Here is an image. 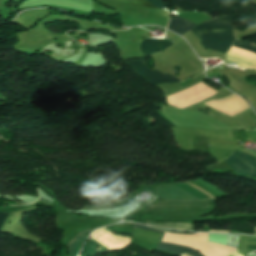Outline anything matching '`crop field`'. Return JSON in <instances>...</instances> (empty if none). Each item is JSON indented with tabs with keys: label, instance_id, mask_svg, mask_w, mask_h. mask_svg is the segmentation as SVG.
I'll return each instance as SVG.
<instances>
[{
	"label": "crop field",
	"instance_id": "crop-field-14",
	"mask_svg": "<svg viewBox=\"0 0 256 256\" xmlns=\"http://www.w3.org/2000/svg\"><path fill=\"white\" fill-rule=\"evenodd\" d=\"M134 227L141 228V229H145V230H150V231H155V232L163 233L159 241H161V239H162V237H163V235H164V232L151 229V228H149L148 226H143V225L134 224Z\"/></svg>",
	"mask_w": 256,
	"mask_h": 256
},
{
	"label": "crop field",
	"instance_id": "crop-field-6",
	"mask_svg": "<svg viewBox=\"0 0 256 256\" xmlns=\"http://www.w3.org/2000/svg\"><path fill=\"white\" fill-rule=\"evenodd\" d=\"M92 230L94 229L78 233L77 236L69 242L67 245L69 256H75L78 253L79 249L82 247V244Z\"/></svg>",
	"mask_w": 256,
	"mask_h": 256
},
{
	"label": "crop field",
	"instance_id": "crop-field-18",
	"mask_svg": "<svg viewBox=\"0 0 256 256\" xmlns=\"http://www.w3.org/2000/svg\"><path fill=\"white\" fill-rule=\"evenodd\" d=\"M255 235H256V228H255Z\"/></svg>",
	"mask_w": 256,
	"mask_h": 256
},
{
	"label": "crop field",
	"instance_id": "crop-field-17",
	"mask_svg": "<svg viewBox=\"0 0 256 256\" xmlns=\"http://www.w3.org/2000/svg\"><path fill=\"white\" fill-rule=\"evenodd\" d=\"M209 232H223V231H213V230H209ZM228 233V232H225Z\"/></svg>",
	"mask_w": 256,
	"mask_h": 256
},
{
	"label": "crop field",
	"instance_id": "crop-field-2",
	"mask_svg": "<svg viewBox=\"0 0 256 256\" xmlns=\"http://www.w3.org/2000/svg\"><path fill=\"white\" fill-rule=\"evenodd\" d=\"M155 194L162 199L177 200V201H199V199L182 191L181 189L171 185H158ZM214 205V200H207L201 202H169L159 201L148 205L145 208H194V207H211Z\"/></svg>",
	"mask_w": 256,
	"mask_h": 256
},
{
	"label": "crop field",
	"instance_id": "crop-field-8",
	"mask_svg": "<svg viewBox=\"0 0 256 256\" xmlns=\"http://www.w3.org/2000/svg\"><path fill=\"white\" fill-rule=\"evenodd\" d=\"M156 250L164 251V252L175 254V255H179V254L187 252V253L191 254L192 256H201L200 254H198L197 252H195L191 249L180 247V246H175V245H170V244H166V243H161V242L158 243Z\"/></svg>",
	"mask_w": 256,
	"mask_h": 256
},
{
	"label": "crop field",
	"instance_id": "crop-field-13",
	"mask_svg": "<svg viewBox=\"0 0 256 256\" xmlns=\"http://www.w3.org/2000/svg\"><path fill=\"white\" fill-rule=\"evenodd\" d=\"M238 238H239V236L229 235V241H228V245L227 246L237 249Z\"/></svg>",
	"mask_w": 256,
	"mask_h": 256
},
{
	"label": "crop field",
	"instance_id": "crop-field-16",
	"mask_svg": "<svg viewBox=\"0 0 256 256\" xmlns=\"http://www.w3.org/2000/svg\"><path fill=\"white\" fill-rule=\"evenodd\" d=\"M252 241H256V237H250V241L249 242H252Z\"/></svg>",
	"mask_w": 256,
	"mask_h": 256
},
{
	"label": "crop field",
	"instance_id": "crop-field-7",
	"mask_svg": "<svg viewBox=\"0 0 256 256\" xmlns=\"http://www.w3.org/2000/svg\"><path fill=\"white\" fill-rule=\"evenodd\" d=\"M195 25L196 24L190 21H187L181 17H177L175 19L170 18L168 28L182 35Z\"/></svg>",
	"mask_w": 256,
	"mask_h": 256
},
{
	"label": "crop field",
	"instance_id": "crop-field-11",
	"mask_svg": "<svg viewBox=\"0 0 256 256\" xmlns=\"http://www.w3.org/2000/svg\"><path fill=\"white\" fill-rule=\"evenodd\" d=\"M145 224L153 225V226H159V227H165V228H170V229H174V230L194 231L193 225H190V224H172V223H167V224L159 225V224H154V223H150V222H145Z\"/></svg>",
	"mask_w": 256,
	"mask_h": 256
},
{
	"label": "crop field",
	"instance_id": "crop-field-5",
	"mask_svg": "<svg viewBox=\"0 0 256 256\" xmlns=\"http://www.w3.org/2000/svg\"><path fill=\"white\" fill-rule=\"evenodd\" d=\"M171 44L173 43L168 40H144L140 45V50L142 54H151L157 50H162Z\"/></svg>",
	"mask_w": 256,
	"mask_h": 256
},
{
	"label": "crop field",
	"instance_id": "crop-field-15",
	"mask_svg": "<svg viewBox=\"0 0 256 256\" xmlns=\"http://www.w3.org/2000/svg\"><path fill=\"white\" fill-rule=\"evenodd\" d=\"M6 216H7V214L0 213V228L5 220Z\"/></svg>",
	"mask_w": 256,
	"mask_h": 256
},
{
	"label": "crop field",
	"instance_id": "crop-field-12",
	"mask_svg": "<svg viewBox=\"0 0 256 256\" xmlns=\"http://www.w3.org/2000/svg\"><path fill=\"white\" fill-rule=\"evenodd\" d=\"M233 47H237L243 50H247L250 52H253L256 54V45L251 44V43H245V42H239V41H234Z\"/></svg>",
	"mask_w": 256,
	"mask_h": 256
},
{
	"label": "crop field",
	"instance_id": "crop-field-1",
	"mask_svg": "<svg viewBox=\"0 0 256 256\" xmlns=\"http://www.w3.org/2000/svg\"><path fill=\"white\" fill-rule=\"evenodd\" d=\"M218 33H220L222 36L234 41V37L231 34V28L233 25V21L231 17H221L217 18L211 21H208ZM207 23V22H206ZM205 24L203 26L198 27V29L204 34V36L213 44L228 49L232 41L222 37L220 34H218L215 29L209 24ZM196 27L191 29L192 32L195 34V36L198 38V40L203 44L205 48L215 50L217 52H223L225 53L227 50L223 48H219L212 43H210L198 30Z\"/></svg>",
	"mask_w": 256,
	"mask_h": 256
},
{
	"label": "crop field",
	"instance_id": "crop-field-9",
	"mask_svg": "<svg viewBox=\"0 0 256 256\" xmlns=\"http://www.w3.org/2000/svg\"><path fill=\"white\" fill-rule=\"evenodd\" d=\"M118 1L127 5H135V6L150 7V8H157V7L163 8V9L165 8L159 0H148L149 2L156 5L157 7L152 5L146 0H118Z\"/></svg>",
	"mask_w": 256,
	"mask_h": 256
},
{
	"label": "crop field",
	"instance_id": "crop-field-10",
	"mask_svg": "<svg viewBox=\"0 0 256 256\" xmlns=\"http://www.w3.org/2000/svg\"><path fill=\"white\" fill-rule=\"evenodd\" d=\"M97 245H99V247H100L98 250L96 249ZM107 251H111V249L101 245L100 243H98L90 238V240L88 241V243L85 247V250L83 252V256H90L94 253H103V252H107Z\"/></svg>",
	"mask_w": 256,
	"mask_h": 256
},
{
	"label": "crop field",
	"instance_id": "crop-field-3",
	"mask_svg": "<svg viewBox=\"0 0 256 256\" xmlns=\"http://www.w3.org/2000/svg\"><path fill=\"white\" fill-rule=\"evenodd\" d=\"M148 57V56H147ZM146 58V57H144ZM138 59L135 61H126L142 78L146 79L152 85L162 84V83H178L181 82L176 77L172 75H164L155 70L148 69L143 63V59Z\"/></svg>",
	"mask_w": 256,
	"mask_h": 256
},
{
	"label": "crop field",
	"instance_id": "crop-field-4",
	"mask_svg": "<svg viewBox=\"0 0 256 256\" xmlns=\"http://www.w3.org/2000/svg\"><path fill=\"white\" fill-rule=\"evenodd\" d=\"M224 162L239 174L256 176L255 158L239 150L231 154Z\"/></svg>",
	"mask_w": 256,
	"mask_h": 256
}]
</instances>
